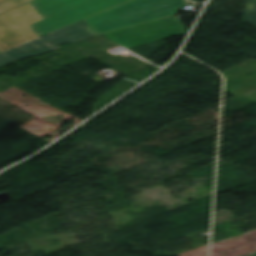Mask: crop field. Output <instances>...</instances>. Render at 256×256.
Instances as JSON below:
<instances>
[{"label":"crop field","mask_w":256,"mask_h":256,"mask_svg":"<svg viewBox=\"0 0 256 256\" xmlns=\"http://www.w3.org/2000/svg\"><path fill=\"white\" fill-rule=\"evenodd\" d=\"M187 3L186 0H130L89 17L85 21L102 34L170 16Z\"/></svg>","instance_id":"8a807250"},{"label":"crop field","mask_w":256,"mask_h":256,"mask_svg":"<svg viewBox=\"0 0 256 256\" xmlns=\"http://www.w3.org/2000/svg\"><path fill=\"white\" fill-rule=\"evenodd\" d=\"M128 0H34L30 4L44 20L32 25L38 37Z\"/></svg>","instance_id":"ac0d7876"},{"label":"crop field","mask_w":256,"mask_h":256,"mask_svg":"<svg viewBox=\"0 0 256 256\" xmlns=\"http://www.w3.org/2000/svg\"><path fill=\"white\" fill-rule=\"evenodd\" d=\"M99 35L84 20L60 29L47 36H43L22 44L18 47L0 53V67L5 66L19 58L31 57L58 49L62 43H74Z\"/></svg>","instance_id":"34b2d1b8"},{"label":"crop field","mask_w":256,"mask_h":256,"mask_svg":"<svg viewBox=\"0 0 256 256\" xmlns=\"http://www.w3.org/2000/svg\"><path fill=\"white\" fill-rule=\"evenodd\" d=\"M186 33L187 31L184 25L175 14L169 18L113 31L105 34V36L112 41L129 48Z\"/></svg>","instance_id":"412701ff"},{"label":"crop field","mask_w":256,"mask_h":256,"mask_svg":"<svg viewBox=\"0 0 256 256\" xmlns=\"http://www.w3.org/2000/svg\"><path fill=\"white\" fill-rule=\"evenodd\" d=\"M41 19L29 3L0 14V51L37 38L30 25Z\"/></svg>","instance_id":"f4fd0767"},{"label":"crop field","mask_w":256,"mask_h":256,"mask_svg":"<svg viewBox=\"0 0 256 256\" xmlns=\"http://www.w3.org/2000/svg\"><path fill=\"white\" fill-rule=\"evenodd\" d=\"M244 21L256 26V0L248 2Z\"/></svg>","instance_id":"dd49c442"},{"label":"crop field","mask_w":256,"mask_h":256,"mask_svg":"<svg viewBox=\"0 0 256 256\" xmlns=\"http://www.w3.org/2000/svg\"><path fill=\"white\" fill-rule=\"evenodd\" d=\"M32 0H0V13L30 2Z\"/></svg>","instance_id":"e52e79f7"}]
</instances>
